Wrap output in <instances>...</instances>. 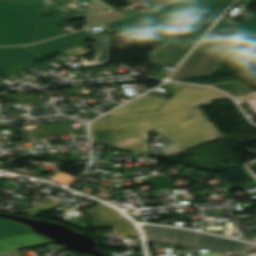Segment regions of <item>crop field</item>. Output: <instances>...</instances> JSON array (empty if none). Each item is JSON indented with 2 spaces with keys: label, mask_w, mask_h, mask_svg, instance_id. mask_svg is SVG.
I'll return each instance as SVG.
<instances>
[{
  "label": "crop field",
  "mask_w": 256,
  "mask_h": 256,
  "mask_svg": "<svg viewBox=\"0 0 256 256\" xmlns=\"http://www.w3.org/2000/svg\"><path fill=\"white\" fill-rule=\"evenodd\" d=\"M154 130L163 138L168 136L175 143L161 151L166 157L223 137L209 122H194L145 128L91 133L93 143L114 145L115 148L139 154L149 153L145 133Z\"/></svg>",
  "instance_id": "obj_1"
},
{
  "label": "crop field",
  "mask_w": 256,
  "mask_h": 256,
  "mask_svg": "<svg viewBox=\"0 0 256 256\" xmlns=\"http://www.w3.org/2000/svg\"><path fill=\"white\" fill-rule=\"evenodd\" d=\"M184 86V84L167 83L162 87L174 93ZM220 98H226V96L212 89L188 86L173 95L171 99L166 101L158 110L207 105L210 104V100ZM164 100H166L165 96L157 98L146 95L105 116L152 111L159 107Z\"/></svg>",
  "instance_id": "obj_2"
},
{
  "label": "crop field",
  "mask_w": 256,
  "mask_h": 256,
  "mask_svg": "<svg viewBox=\"0 0 256 256\" xmlns=\"http://www.w3.org/2000/svg\"><path fill=\"white\" fill-rule=\"evenodd\" d=\"M207 120L197 107L100 118L91 132Z\"/></svg>",
  "instance_id": "obj_3"
},
{
  "label": "crop field",
  "mask_w": 256,
  "mask_h": 256,
  "mask_svg": "<svg viewBox=\"0 0 256 256\" xmlns=\"http://www.w3.org/2000/svg\"><path fill=\"white\" fill-rule=\"evenodd\" d=\"M233 1H223L135 30L201 39Z\"/></svg>",
  "instance_id": "obj_4"
},
{
  "label": "crop field",
  "mask_w": 256,
  "mask_h": 256,
  "mask_svg": "<svg viewBox=\"0 0 256 256\" xmlns=\"http://www.w3.org/2000/svg\"><path fill=\"white\" fill-rule=\"evenodd\" d=\"M147 240L154 244H173L183 248L182 252H209L256 250V246L247 245L227 239L206 236L194 232L169 230L158 227H143Z\"/></svg>",
  "instance_id": "obj_5"
},
{
  "label": "crop field",
  "mask_w": 256,
  "mask_h": 256,
  "mask_svg": "<svg viewBox=\"0 0 256 256\" xmlns=\"http://www.w3.org/2000/svg\"><path fill=\"white\" fill-rule=\"evenodd\" d=\"M40 8L0 1V46L30 44Z\"/></svg>",
  "instance_id": "obj_6"
},
{
  "label": "crop field",
  "mask_w": 256,
  "mask_h": 256,
  "mask_svg": "<svg viewBox=\"0 0 256 256\" xmlns=\"http://www.w3.org/2000/svg\"><path fill=\"white\" fill-rule=\"evenodd\" d=\"M239 45L204 41L175 72L171 79L215 75Z\"/></svg>",
  "instance_id": "obj_7"
},
{
  "label": "crop field",
  "mask_w": 256,
  "mask_h": 256,
  "mask_svg": "<svg viewBox=\"0 0 256 256\" xmlns=\"http://www.w3.org/2000/svg\"><path fill=\"white\" fill-rule=\"evenodd\" d=\"M117 37L143 39L159 42L158 45L149 54L150 64L158 66L177 67L180 61L195 46L198 40L172 37L159 34L128 31L117 35Z\"/></svg>",
  "instance_id": "obj_8"
},
{
  "label": "crop field",
  "mask_w": 256,
  "mask_h": 256,
  "mask_svg": "<svg viewBox=\"0 0 256 256\" xmlns=\"http://www.w3.org/2000/svg\"><path fill=\"white\" fill-rule=\"evenodd\" d=\"M220 1L223 0H182L154 10L146 11L124 19H120L108 24L120 32L128 31L130 29L139 28L148 24H152L167 19L169 17L190 12L198 8Z\"/></svg>",
  "instance_id": "obj_9"
},
{
  "label": "crop field",
  "mask_w": 256,
  "mask_h": 256,
  "mask_svg": "<svg viewBox=\"0 0 256 256\" xmlns=\"http://www.w3.org/2000/svg\"><path fill=\"white\" fill-rule=\"evenodd\" d=\"M210 33L226 35V43L256 46V16L240 23L223 16Z\"/></svg>",
  "instance_id": "obj_10"
},
{
  "label": "crop field",
  "mask_w": 256,
  "mask_h": 256,
  "mask_svg": "<svg viewBox=\"0 0 256 256\" xmlns=\"http://www.w3.org/2000/svg\"><path fill=\"white\" fill-rule=\"evenodd\" d=\"M89 35H91L89 32L83 30L57 39L42 42L32 46H27V48L44 56L50 53L84 44L83 40Z\"/></svg>",
  "instance_id": "obj_11"
},
{
  "label": "crop field",
  "mask_w": 256,
  "mask_h": 256,
  "mask_svg": "<svg viewBox=\"0 0 256 256\" xmlns=\"http://www.w3.org/2000/svg\"><path fill=\"white\" fill-rule=\"evenodd\" d=\"M92 216L91 228L132 226L113 209L99 204L87 211Z\"/></svg>",
  "instance_id": "obj_12"
},
{
  "label": "crop field",
  "mask_w": 256,
  "mask_h": 256,
  "mask_svg": "<svg viewBox=\"0 0 256 256\" xmlns=\"http://www.w3.org/2000/svg\"><path fill=\"white\" fill-rule=\"evenodd\" d=\"M40 58L25 47L0 48V69Z\"/></svg>",
  "instance_id": "obj_13"
},
{
  "label": "crop field",
  "mask_w": 256,
  "mask_h": 256,
  "mask_svg": "<svg viewBox=\"0 0 256 256\" xmlns=\"http://www.w3.org/2000/svg\"><path fill=\"white\" fill-rule=\"evenodd\" d=\"M50 243L48 238L36 234L0 239V253Z\"/></svg>",
  "instance_id": "obj_14"
},
{
  "label": "crop field",
  "mask_w": 256,
  "mask_h": 256,
  "mask_svg": "<svg viewBox=\"0 0 256 256\" xmlns=\"http://www.w3.org/2000/svg\"><path fill=\"white\" fill-rule=\"evenodd\" d=\"M83 17H75V18H86ZM61 19H74V18H51V19H40L38 22V26L35 32V36L33 39V43L46 40L58 35L65 34L63 30L57 27L55 24L61 23ZM32 43V44H33Z\"/></svg>",
  "instance_id": "obj_15"
},
{
  "label": "crop field",
  "mask_w": 256,
  "mask_h": 256,
  "mask_svg": "<svg viewBox=\"0 0 256 256\" xmlns=\"http://www.w3.org/2000/svg\"><path fill=\"white\" fill-rule=\"evenodd\" d=\"M24 225L12 221L0 219V238L30 234Z\"/></svg>",
  "instance_id": "obj_16"
},
{
  "label": "crop field",
  "mask_w": 256,
  "mask_h": 256,
  "mask_svg": "<svg viewBox=\"0 0 256 256\" xmlns=\"http://www.w3.org/2000/svg\"><path fill=\"white\" fill-rule=\"evenodd\" d=\"M111 37L99 40L102 43V49L96 50L93 61H86L85 57L81 59L82 67L104 64L108 61V55L111 44Z\"/></svg>",
  "instance_id": "obj_17"
},
{
  "label": "crop field",
  "mask_w": 256,
  "mask_h": 256,
  "mask_svg": "<svg viewBox=\"0 0 256 256\" xmlns=\"http://www.w3.org/2000/svg\"><path fill=\"white\" fill-rule=\"evenodd\" d=\"M113 11H117V9L102 2V0H94L89 19L103 15V14H107Z\"/></svg>",
  "instance_id": "obj_18"
},
{
  "label": "crop field",
  "mask_w": 256,
  "mask_h": 256,
  "mask_svg": "<svg viewBox=\"0 0 256 256\" xmlns=\"http://www.w3.org/2000/svg\"><path fill=\"white\" fill-rule=\"evenodd\" d=\"M54 199H50V198H48V199H46V200H44V201H42L41 203H39V204H37L36 206H34V207H32L31 209H29V210H27L26 212H24L23 214H26V213H28L29 211H31V210H33L34 208H36L37 206H39V205H41L42 203H46V204H48L49 202H51V201H53ZM61 201H59V200H57V201H55V202H53L52 204H50V205H48L47 207H45V208H43L42 206V210H40V211H38V212H36L35 214H33V215H29L30 213H32V212H34V211H36V210H34V211H32V212H30L29 214H28V216L29 217H33V218H35V217H37L38 215H40V214H42L43 212H45L46 210H48V209H50V208H52V207H54V206H56L57 204H59ZM45 204V205H46ZM44 206V205H43ZM41 207H39V208H41ZM38 208V209H39Z\"/></svg>",
  "instance_id": "obj_19"
},
{
  "label": "crop field",
  "mask_w": 256,
  "mask_h": 256,
  "mask_svg": "<svg viewBox=\"0 0 256 256\" xmlns=\"http://www.w3.org/2000/svg\"><path fill=\"white\" fill-rule=\"evenodd\" d=\"M114 237L138 236L133 227L113 228Z\"/></svg>",
  "instance_id": "obj_20"
},
{
  "label": "crop field",
  "mask_w": 256,
  "mask_h": 256,
  "mask_svg": "<svg viewBox=\"0 0 256 256\" xmlns=\"http://www.w3.org/2000/svg\"><path fill=\"white\" fill-rule=\"evenodd\" d=\"M89 51H90V49L81 45V46H78V47H74V48H71V49H68V50L61 51V53L79 57V56H82V55L86 54Z\"/></svg>",
  "instance_id": "obj_21"
},
{
  "label": "crop field",
  "mask_w": 256,
  "mask_h": 256,
  "mask_svg": "<svg viewBox=\"0 0 256 256\" xmlns=\"http://www.w3.org/2000/svg\"><path fill=\"white\" fill-rule=\"evenodd\" d=\"M4 1H9V2H15V3H21V4L40 7V1L41 0H4ZM80 1L90 2L91 0H80Z\"/></svg>",
  "instance_id": "obj_22"
},
{
  "label": "crop field",
  "mask_w": 256,
  "mask_h": 256,
  "mask_svg": "<svg viewBox=\"0 0 256 256\" xmlns=\"http://www.w3.org/2000/svg\"><path fill=\"white\" fill-rule=\"evenodd\" d=\"M75 122V120L69 119L68 121L65 122V124L70 128V130L72 131V133H79V132H85V129L81 128V129H72L70 123Z\"/></svg>",
  "instance_id": "obj_23"
},
{
  "label": "crop field",
  "mask_w": 256,
  "mask_h": 256,
  "mask_svg": "<svg viewBox=\"0 0 256 256\" xmlns=\"http://www.w3.org/2000/svg\"><path fill=\"white\" fill-rule=\"evenodd\" d=\"M0 256H21V254L18 252V250L2 253Z\"/></svg>",
  "instance_id": "obj_24"
},
{
  "label": "crop field",
  "mask_w": 256,
  "mask_h": 256,
  "mask_svg": "<svg viewBox=\"0 0 256 256\" xmlns=\"http://www.w3.org/2000/svg\"><path fill=\"white\" fill-rule=\"evenodd\" d=\"M223 256H245V253H232V255H223Z\"/></svg>",
  "instance_id": "obj_25"
},
{
  "label": "crop field",
  "mask_w": 256,
  "mask_h": 256,
  "mask_svg": "<svg viewBox=\"0 0 256 256\" xmlns=\"http://www.w3.org/2000/svg\"><path fill=\"white\" fill-rule=\"evenodd\" d=\"M199 256H222V254H198Z\"/></svg>",
  "instance_id": "obj_26"
}]
</instances>
